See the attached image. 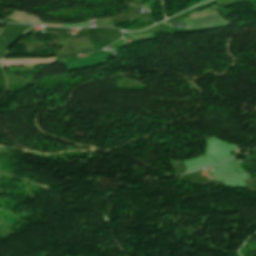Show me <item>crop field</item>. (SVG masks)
<instances>
[{
  "label": "crop field",
  "mask_w": 256,
  "mask_h": 256,
  "mask_svg": "<svg viewBox=\"0 0 256 256\" xmlns=\"http://www.w3.org/2000/svg\"><path fill=\"white\" fill-rule=\"evenodd\" d=\"M216 14H218V12L216 10H214L213 8H207V9L200 10V11H197V12L189 15L188 17L185 18V20L200 18V17H205V16H211V15H216ZM186 22H187L188 29L229 23L228 21L223 19L220 15L205 17V18H200V19H194V20H188Z\"/></svg>",
  "instance_id": "8a807250"
},
{
  "label": "crop field",
  "mask_w": 256,
  "mask_h": 256,
  "mask_svg": "<svg viewBox=\"0 0 256 256\" xmlns=\"http://www.w3.org/2000/svg\"><path fill=\"white\" fill-rule=\"evenodd\" d=\"M54 60H55V57L54 58H50V59L2 60L1 61V65L17 66V65L40 64V63H53Z\"/></svg>",
  "instance_id": "ac0d7876"
},
{
  "label": "crop field",
  "mask_w": 256,
  "mask_h": 256,
  "mask_svg": "<svg viewBox=\"0 0 256 256\" xmlns=\"http://www.w3.org/2000/svg\"><path fill=\"white\" fill-rule=\"evenodd\" d=\"M15 15L19 16V17H22L26 20H29V21H32V22H36V23H39V24H43L42 22L39 21V19L31 16V15H27V14H24V13H21V12H14ZM15 15H11L9 18L11 19H14L16 21H19L21 23H31V24H36V23H32V22H29V21H26L22 18H19ZM45 25V24H44ZM46 25H52V24H46ZM53 26H60V25H53Z\"/></svg>",
  "instance_id": "34b2d1b8"
}]
</instances>
